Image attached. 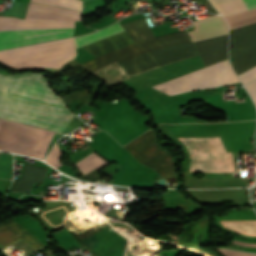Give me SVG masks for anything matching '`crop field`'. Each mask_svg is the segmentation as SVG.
Wrapping results in <instances>:
<instances>
[{"instance_id":"crop-field-3","label":"crop field","mask_w":256,"mask_h":256,"mask_svg":"<svg viewBox=\"0 0 256 256\" xmlns=\"http://www.w3.org/2000/svg\"><path fill=\"white\" fill-rule=\"evenodd\" d=\"M122 26L129 32L134 43L83 63L92 73L129 55L189 40L186 31L154 38L145 18Z\"/></svg>"},{"instance_id":"crop-field-4","label":"crop field","mask_w":256,"mask_h":256,"mask_svg":"<svg viewBox=\"0 0 256 256\" xmlns=\"http://www.w3.org/2000/svg\"><path fill=\"white\" fill-rule=\"evenodd\" d=\"M54 132L0 119V150L43 159Z\"/></svg>"},{"instance_id":"crop-field-12","label":"crop field","mask_w":256,"mask_h":256,"mask_svg":"<svg viewBox=\"0 0 256 256\" xmlns=\"http://www.w3.org/2000/svg\"><path fill=\"white\" fill-rule=\"evenodd\" d=\"M227 36L193 43L204 66L227 59Z\"/></svg>"},{"instance_id":"crop-field-6","label":"crop field","mask_w":256,"mask_h":256,"mask_svg":"<svg viewBox=\"0 0 256 256\" xmlns=\"http://www.w3.org/2000/svg\"><path fill=\"white\" fill-rule=\"evenodd\" d=\"M236 82L238 80L227 59L152 87L169 95H175L191 90L218 87Z\"/></svg>"},{"instance_id":"crop-field-5","label":"crop field","mask_w":256,"mask_h":256,"mask_svg":"<svg viewBox=\"0 0 256 256\" xmlns=\"http://www.w3.org/2000/svg\"><path fill=\"white\" fill-rule=\"evenodd\" d=\"M178 139L190 151V171L234 172L231 153H227L220 137Z\"/></svg>"},{"instance_id":"crop-field-8","label":"crop field","mask_w":256,"mask_h":256,"mask_svg":"<svg viewBox=\"0 0 256 256\" xmlns=\"http://www.w3.org/2000/svg\"><path fill=\"white\" fill-rule=\"evenodd\" d=\"M193 56H197V53L189 41L129 56L116 64L131 78L145 71Z\"/></svg>"},{"instance_id":"crop-field-20","label":"crop field","mask_w":256,"mask_h":256,"mask_svg":"<svg viewBox=\"0 0 256 256\" xmlns=\"http://www.w3.org/2000/svg\"><path fill=\"white\" fill-rule=\"evenodd\" d=\"M245 88L247 89V91L250 93L253 101L256 104V80L245 85Z\"/></svg>"},{"instance_id":"crop-field-19","label":"crop field","mask_w":256,"mask_h":256,"mask_svg":"<svg viewBox=\"0 0 256 256\" xmlns=\"http://www.w3.org/2000/svg\"><path fill=\"white\" fill-rule=\"evenodd\" d=\"M238 78L240 79L242 84H245L249 81L256 79V67L238 75Z\"/></svg>"},{"instance_id":"crop-field-17","label":"crop field","mask_w":256,"mask_h":256,"mask_svg":"<svg viewBox=\"0 0 256 256\" xmlns=\"http://www.w3.org/2000/svg\"><path fill=\"white\" fill-rule=\"evenodd\" d=\"M30 1L58 5V6L72 8V9H76V10H80V11L82 9V1L81 0H30Z\"/></svg>"},{"instance_id":"crop-field-10","label":"crop field","mask_w":256,"mask_h":256,"mask_svg":"<svg viewBox=\"0 0 256 256\" xmlns=\"http://www.w3.org/2000/svg\"><path fill=\"white\" fill-rule=\"evenodd\" d=\"M229 59L236 75L256 65V23L230 31Z\"/></svg>"},{"instance_id":"crop-field-2","label":"crop field","mask_w":256,"mask_h":256,"mask_svg":"<svg viewBox=\"0 0 256 256\" xmlns=\"http://www.w3.org/2000/svg\"><path fill=\"white\" fill-rule=\"evenodd\" d=\"M75 56L73 38L0 52V61L16 69L60 68Z\"/></svg>"},{"instance_id":"crop-field-22","label":"crop field","mask_w":256,"mask_h":256,"mask_svg":"<svg viewBox=\"0 0 256 256\" xmlns=\"http://www.w3.org/2000/svg\"><path fill=\"white\" fill-rule=\"evenodd\" d=\"M248 10L256 8V0H243Z\"/></svg>"},{"instance_id":"crop-field-14","label":"crop field","mask_w":256,"mask_h":256,"mask_svg":"<svg viewBox=\"0 0 256 256\" xmlns=\"http://www.w3.org/2000/svg\"><path fill=\"white\" fill-rule=\"evenodd\" d=\"M123 31L122 27L119 25V23H116L112 26H109L103 30L85 35V36H80V37H75V42H76V48L86 45L89 43H92L94 41L100 40L102 38L108 37L110 35H113L115 33Z\"/></svg>"},{"instance_id":"crop-field-9","label":"crop field","mask_w":256,"mask_h":256,"mask_svg":"<svg viewBox=\"0 0 256 256\" xmlns=\"http://www.w3.org/2000/svg\"><path fill=\"white\" fill-rule=\"evenodd\" d=\"M124 148L138 162L154 169L162 177L176 176L172 158L158 146L151 129L124 146Z\"/></svg>"},{"instance_id":"crop-field-16","label":"crop field","mask_w":256,"mask_h":256,"mask_svg":"<svg viewBox=\"0 0 256 256\" xmlns=\"http://www.w3.org/2000/svg\"><path fill=\"white\" fill-rule=\"evenodd\" d=\"M76 164L79 167V169L82 171V173H84L89 170L104 166L108 163H106L96 154L91 153L90 155L86 156L82 160L78 161Z\"/></svg>"},{"instance_id":"crop-field-13","label":"crop field","mask_w":256,"mask_h":256,"mask_svg":"<svg viewBox=\"0 0 256 256\" xmlns=\"http://www.w3.org/2000/svg\"><path fill=\"white\" fill-rule=\"evenodd\" d=\"M192 41L228 34L227 24L222 16H214L195 22V30L189 31Z\"/></svg>"},{"instance_id":"crop-field-7","label":"crop field","mask_w":256,"mask_h":256,"mask_svg":"<svg viewBox=\"0 0 256 256\" xmlns=\"http://www.w3.org/2000/svg\"><path fill=\"white\" fill-rule=\"evenodd\" d=\"M81 12L29 3L24 19L40 20H78ZM40 20H20L16 18L0 17L1 30H22L56 27H74V21H40Z\"/></svg>"},{"instance_id":"crop-field-11","label":"crop field","mask_w":256,"mask_h":256,"mask_svg":"<svg viewBox=\"0 0 256 256\" xmlns=\"http://www.w3.org/2000/svg\"><path fill=\"white\" fill-rule=\"evenodd\" d=\"M73 29L74 28L27 30V31H1L0 32V50L72 36Z\"/></svg>"},{"instance_id":"crop-field-23","label":"crop field","mask_w":256,"mask_h":256,"mask_svg":"<svg viewBox=\"0 0 256 256\" xmlns=\"http://www.w3.org/2000/svg\"><path fill=\"white\" fill-rule=\"evenodd\" d=\"M234 244H238V245H242V246H246V247H256V244H246V243H242V242H238L233 240L232 241Z\"/></svg>"},{"instance_id":"crop-field-1","label":"crop field","mask_w":256,"mask_h":256,"mask_svg":"<svg viewBox=\"0 0 256 256\" xmlns=\"http://www.w3.org/2000/svg\"><path fill=\"white\" fill-rule=\"evenodd\" d=\"M73 116L41 75H0L1 118L61 132Z\"/></svg>"},{"instance_id":"crop-field-21","label":"crop field","mask_w":256,"mask_h":256,"mask_svg":"<svg viewBox=\"0 0 256 256\" xmlns=\"http://www.w3.org/2000/svg\"><path fill=\"white\" fill-rule=\"evenodd\" d=\"M218 250L221 251L225 256H256V254L240 253V252H234V251L223 250V249H218Z\"/></svg>"},{"instance_id":"crop-field-15","label":"crop field","mask_w":256,"mask_h":256,"mask_svg":"<svg viewBox=\"0 0 256 256\" xmlns=\"http://www.w3.org/2000/svg\"><path fill=\"white\" fill-rule=\"evenodd\" d=\"M216 9L224 16L247 11L242 0H210Z\"/></svg>"},{"instance_id":"crop-field-18","label":"crop field","mask_w":256,"mask_h":256,"mask_svg":"<svg viewBox=\"0 0 256 256\" xmlns=\"http://www.w3.org/2000/svg\"><path fill=\"white\" fill-rule=\"evenodd\" d=\"M60 156H61V154H60L59 148L56 143L55 147L52 149V151L46 157L45 162L55 166L58 169V167L61 164L59 161Z\"/></svg>"}]
</instances>
